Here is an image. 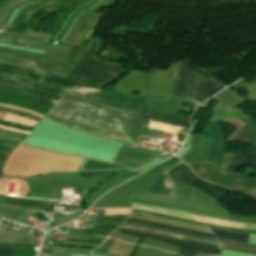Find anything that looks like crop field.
I'll return each mask as SVG.
<instances>
[{"label": "crop field", "instance_id": "obj_34", "mask_svg": "<svg viewBox=\"0 0 256 256\" xmlns=\"http://www.w3.org/2000/svg\"><path fill=\"white\" fill-rule=\"evenodd\" d=\"M36 4H38V3H36ZM36 4H30V5H28V6H26V7H24V8H22V9H20L19 11H18V13L16 14V16L14 17V19H13V21L11 22V26H13V24L16 22V20L18 19V17L20 16V14L24 11V10H26V9H28V8H30V7H32V6H34V5H36Z\"/></svg>", "mask_w": 256, "mask_h": 256}, {"label": "crop field", "instance_id": "obj_51", "mask_svg": "<svg viewBox=\"0 0 256 256\" xmlns=\"http://www.w3.org/2000/svg\"><path fill=\"white\" fill-rule=\"evenodd\" d=\"M0 201H4V199H1V198H0Z\"/></svg>", "mask_w": 256, "mask_h": 256}, {"label": "crop field", "instance_id": "obj_29", "mask_svg": "<svg viewBox=\"0 0 256 256\" xmlns=\"http://www.w3.org/2000/svg\"><path fill=\"white\" fill-rule=\"evenodd\" d=\"M132 211H133V212H141V213H146V214H151V215H156V216L171 218V219H175V220H179V221H184V222H190V223H195V224L203 225V224L197 223V222H192V221H188V220H184V219H179V218H175V217H171V216H167V215H162V214H156V213L146 212V211H142V210H134V209H132Z\"/></svg>", "mask_w": 256, "mask_h": 256}, {"label": "crop field", "instance_id": "obj_25", "mask_svg": "<svg viewBox=\"0 0 256 256\" xmlns=\"http://www.w3.org/2000/svg\"><path fill=\"white\" fill-rule=\"evenodd\" d=\"M127 220L135 221V222H141V223H147V224H153V225H158V226H162V227H167V228H171V229H176V230H181V231H185V232H190V233H195V234H200V235H206V236H210V237L216 238L215 235L201 233V232L192 231V230H187V229L178 228V227H173V226H169V225L153 223V222H148V221H142V220L129 219V218Z\"/></svg>", "mask_w": 256, "mask_h": 256}, {"label": "crop field", "instance_id": "obj_7", "mask_svg": "<svg viewBox=\"0 0 256 256\" xmlns=\"http://www.w3.org/2000/svg\"><path fill=\"white\" fill-rule=\"evenodd\" d=\"M218 121L219 120L208 121V128L204 129L206 147L205 162L213 163L221 167L223 148Z\"/></svg>", "mask_w": 256, "mask_h": 256}, {"label": "crop field", "instance_id": "obj_23", "mask_svg": "<svg viewBox=\"0 0 256 256\" xmlns=\"http://www.w3.org/2000/svg\"><path fill=\"white\" fill-rule=\"evenodd\" d=\"M4 120L31 126V127H33L37 123V121L30 120V119H27V118L21 117V116L8 114V113L6 114V117Z\"/></svg>", "mask_w": 256, "mask_h": 256}, {"label": "crop field", "instance_id": "obj_37", "mask_svg": "<svg viewBox=\"0 0 256 256\" xmlns=\"http://www.w3.org/2000/svg\"><path fill=\"white\" fill-rule=\"evenodd\" d=\"M14 114L21 115V116H25V117H29V118H32V119L37 120V121L40 120V118H37V117H35V116L28 115V114H24V113H20V112H17V111H14Z\"/></svg>", "mask_w": 256, "mask_h": 256}, {"label": "crop field", "instance_id": "obj_44", "mask_svg": "<svg viewBox=\"0 0 256 256\" xmlns=\"http://www.w3.org/2000/svg\"><path fill=\"white\" fill-rule=\"evenodd\" d=\"M196 256H218V255H211V254H205V253H199Z\"/></svg>", "mask_w": 256, "mask_h": 256}, {"label": "crop field", "instance_id": "obj_26", "mask_svg": "<svg viewBox=\"0 0 256 256\" xmlns=\"http://www.w3.org/2000/svg\"><path fill=\"white\" fill-rule=\"evenodd\" d=\"M0 81L10 82V83H16V84H22V85H26V86L31 87V88H36V89H40V90H45V91L57 93V94H60V95H62V94L64 93V92H62V91H58V90H54V89H49V88H45V87H41V86H37V85H32V84L25 83V82L10 80V79H0Z\"/></svg>", "mask_w": 256, "mask_h": 256}, {"label": "crop field", "instance_id": "obj_33", "mask_svg": "<svg viewBox=\"0 0 256 256\" xmlns=\"http://www.w3.org/2000/svg\"><path fill=\"white\" fill-rule=\"evenodd\" d=\"M114 241H115L114 239L107 238V240H106L102 250L109 252L111 247H112V245H113V243H114Z\"/></svg>", "mask_w": 256, "mask_h": 256}, {"label": "crop field", "instance_id": "obj_1", "mask_svg": "<svg viewBox=\"0 0 256 256\" xmlns=\"http://www.w3.org/2000/svg\"><path fill=\"white\" fill-rule=\"evenodd\" d=\"M0 76L67 91L62 97L63 99L191 127L189 119L178 114L182 109V102L195 103L189 99L139 97L126 94L139 97L136 99L111 89L96 93H83L98 90L77 86L68 89L14 75L0 73ZM63 99H60L51 108L46 117L85 132L136 143L146 121L145 118Z\"/></svg>", "mask_w": 256, "mask_h": 256}, {"label": "crop field", "instance_id": "obj_45", "mask_svg": "<svg viewBox=\"0 0 256 256\" xmlns=\"http://www.w3.org/2000/svg\"><path fill=\"white\" fill-rule=\"evenodd\" d=\"M0 146H4V147H7V148H11V149L14 148V146H11V145H8V144H4V143H0Z\"/></svg>", "mask_w": 256, "mask_h": 256}, {"label": "crop field", "instance_id": "obj_13", "mask_svg": "<svg viewBox=\"0 0 256 256\" xmlns=\"http://www.w3.org/2000/svg\"><path fill=\"white\" fill-rule=\"evenodd\" d=\"M121 232L123 234L141 236V237H144V238H151V239H157V240H160V241H164V242L173 244V245H175L176 247H178L180 249H187V250H193V251L205 252V253H212V254H219L220 253L219 249H215V248H211V247H207V246L186 244V243H182V242H178V241H174V240H169V239H165V238H161V237H157V236L137 234V233L127 232V231H122V230H121Z\"/></svg>", "mask_w": 256, "mask_h": 256}, {"label": "crop field", "instance_id": "obj_11", "mask_svg": "<svg viewBox=\"0 0 256 256\" xmlns=\"http://www.w3.org/2000/svg\"><path fill=\"white\" fill-rule=\"evenodd\" d=\"M0 68H1L0 72L8 73V74H14V75H20V76H24V77H28L29 74H27V73H31L29 78L41 80V81H44V82H45L46 78L48 77V74H44V73H40V72H36V71H31V70H27V69H22V68H16L15 67L14 70L21 71V72H27V73L12 71L13 67H9V66H0ZM46 82L59 84V85H62L64 87H68V88H71L72 86H74L77 83L76 81L64 79V78H61V77H58V76H53V75H49Z\"/></svg>", "mask_w": 256, "mask_h": 256}, {"label": "crop field", "instance_id": "obj_15", "mask_svg": "<svg viewBox=\"0 0 256 256\" xmlns=\"http://www.w3.org/2000/svg\"><path fill=\"white\" fill-rule=\"evenodd\" d=\"M233 140L256 144V122L249 117Z\"/></svg>", "mask_w": 256, "mask_h": 256}, {"label": "crop field", "instance_id": "obj_52", "mask_svg": "<svg viewBox=\"0 0 256 256\" xmlns=\"http://www.w3.org/2000/svg\"><path fill=\"white\" fill-rule=\"evenodd\" d=\"M0 256H9V255H0Z\"/></svg>", "mask_w": 256, "mask_h": 256}, {"label": "crop field", "instance_id": "obj_39", "mask_svg": "<svg viewBox=\"0 0 256 256\" xmlns=\"http://www.w3.org/2000/svg\"><path fill=\"white\" fill-rule=\"evenodd\" d=\"M0 128L8 129V130H13V131H17V132H22V133L29 134V132H28V131H23V130L13 129V128L5 127V126H2V125H0Z\"/></svg>", "mask_w": 256, "mask_h": 256}, {"label": "crop field", "instance_id": "obj_27", "mask_svg": "<svg viewBox=\"0 0 256 256\" xmlns=\"http://www.w3.org/2000/svg\"><path fill=\"white\" fill-rule=\"evenodd\" d=\"M0 89L10 90V91H14V92H20V93H23V94L35 96L37 98H40V99H43V100L52 101V102L56 103V100H54L52 98H49V97H46V96H43V95H39V94H35V93H29V92H26V91H22L20 89H12V88L2 87V86H0Z\"/></svg>", "mask_w": 256, "mask_h": 256}, {"label": "crop field", "instance_id": "obj_30", "mask_svg": "<svg viewBox=\"0 0 256 256\" xmlns=\"http://www.w3.org/2000/svg\"><path fill=\"white\" fill-rule=\"evenodd\" d=\"M0 106L6 107V108H12V109H17V110L25 111V112L31 113V114H33V115H35V116H38V117H40V118H42V117L44 116V115L39 114V113H37V112H34V111H32V110H28V109H24V108L12 106V105L0 104Z\"/></svg>", "mask_w": 256, "mask_h": 256}, {"label": "crop field", "instance_id": "obj_38", "mask_svg": "<svg viewBox=\"0 0 256 256\" xmlns=\"http://www.w3.org/2000/svg\"><path fill=\"white\" fill-rule=\"evenodd\" d=\"M0 137H1V138H6V139L17 140V141H20V140H21L20 138H16V137L9 136V135H5V134H0Z\"/></svg>", "mask_w": 256, "mask_h": 256}, {"label": "crop field", "instance_id": "obj_10", "mask_svg": "<svg viewBox=\"0 0 256 256\" xmlns=\"http://www.w3.org/2000/svg\"><path fill=\"white\" fill-rule=\"evenodd\" d=\"M48 39L41 37H34L28 35H11L9 33L0 32V42L21 45L36 49L45 50L46 48L56 49L67 52V46H60L55 44L47 43Z\"/></svg>", "mask_w": 256, "mask_h": 256}, {"label": "crop field", "instance_id": "obj_6", "mask_svg": "<svg viewBox=\"0 0 256 256\" xmlns=\"http://www.w3.org/2000/svg\"><path fill=\"white\" fill-rule=\"evenodd\" d=\"M119 229L137 232V233H143V234L157 235V236L174 239L182 242L192 243V244H200V245H207V246L220 248L219 242L217 241V239H214V238L186 234V233L177 232V231H173V230H169L161 227L148 226L140 223L125 221L122 227Z\"/></svg>", "mask_w": 256, "mask_h": 256}, {"label": "crop field", "instance_id": "obj_8", "mask_svg": "<svg viewBox=\"0 0 256 256\" xmlns=\"http://www.w3.org/2000/svg\"><path fill=\"white\" fill-rule=\"evenodd\" d=\"M172 172L175 173L181 179L188 182L189 184L193 185L194 187L198 188L202 192L212 196L213 198L219 201L230 191V189H226L218 185L210 184L199 179L197 176L193 174V172L186 165Z\"/></svg>", "mask_w": 256, "mask_h": 256}, {"label": "crop field", "instance_id": "obj_17", "mask_svg": "<svg viewBox=\"0 0 256 256\" xmlns=\"http://www.w3.org/2000/svg\"><path fill=\"white\" fill-rule=\"evenodd\" d=\"M0 243H34V236L0 230Z\"/></svg>", "mask_w": 256, "mask_h": 256}, {"label": "crop field", "instance_id": "obj_28", "mask_svg": "<svg viewBox=\"0 0 256 256\" xmlns=\"http://www.w3.org/2000/svg\"><path fill=\"white\" fill-rule=\"evenodd\" d=\"M92 250L83 249V248H61L60 253H81V254H90Z\"/></svg>", "mask_w": 256, "mask_h": 256}, {"label": "crop field", "instance_id": "obj_42", "mask_svg": "<svg viewBox=\"0 0 256 256\" xmlns=\"http://www.w3.org/2000/svg\"><path fill=\"white\" fill-rule=\"evenodd\" d=\"M1 85H7V86H13V87H19L22 88L23 86L20 85H14V84H9V83H4V82H0Z\"/></svg>", "mask_w": 256, "mask_h": 256}, {"label": "crop field", "instance_id": "obj_41", "mask_svg": "<svg viewBox=\"0 0 256 256\" xmlns=\"http://www.w3.org/2000/svg\"><path fill=\"white\" fill-rule=\"evenodd\" d=\"M45 4H47V3H44V4L40 5V6H38V7L34 8V9H32V10L28 13L26 19L32 14V12H33L34 10H36V9H38V8H40V7H42V6H44ZM24 19H25V18H24ZM26 19H25L24 21H26Z\"/></svg>", "mask_w": 256, "mask_h": 256}, {"label": "crop field", "instance_id": "obj_31", "mask_svg": "<svg viewBox=\"0 0 256 256\" xmlns=\"http://www.w3.org/2000/svg\"><path fill=\"white\" fill-rule=\"evenodd\" d=\"M130 210L118 209V210H105V215L121 214L128 215Z\"/></svg>", "mask_w": 256, "mask_h": 256}, {"label": "crop field", "instance_id": "obj_50", "mask_svg": "<svg viewBox=\"0 0 256 256\" xmlns=\"http://www.w3.org/2000/svg\"><path fill=\"white\" fill-rule=\"evenodd\" d=\"M249 99L256 100V95L251 97V98H249Z\"/></svg>", "mask_w": 256, "mask_h": 256}, {"label": "crop field", "instance_id": "obj_14", "mask_svg": "<svg viewBox=\"0 0 256 256\" xmlns=\"http://www.w3.org/2000/svg\"><path fill=\"white\" fill-rule=\"evenodd\" d=\"M245 164L256 168V145L244 153L240 152L236 154L231 163L228 165L227 169L235 171Z\"/></svg>", "mask_w": 256, "mask_h": 256}, {"label": "crop field", "instance_id": "obj_20", "mask_svg": "<svg viewBox=\"0 0 256 256\" xmlns=\"http://www.w3.org/2000/svg\"><path fill=\"white\" fill-rule=\"evenodd\" d=\"M84 51H85V50L81 48V50H80L79 53L77 54L75 60H74L68 67L63 66V65H60V64L52 63V62H49V61L44 60V59H39V58L21 57V56H19V55L8 54V53H3V52H0V55L13 56V57L23 58V59H29V60H33V61H38V62L46 63V64H49V65H52V66H57V67H62V68H66V69L72 70L73 67L76 65V63L78 62V60L82 57Z\"/></svg>", "mask_w": 256, "mask_h": 256}, {"label": "crop field", "instance_id": "obj_9", "mask_svg": "<svg viewBox=\"0 0 256 256\" xmlns=\"http://www.w3.org/2000/svg\"><path fill=\"white\" fill-rule=\"evenodd\" d=\"M131 208L147 209V210L162 212V213H166V214H170V215H174V216H178V217H182V218H186V219L198 220L201 222L223 225V226L232 227V228H243V229L256 230L255 224L241 223V222H230V221L206 218V217L197 216V215H193V214H189V213H183V212L167 210V209L151 207V206H145V205H140V204H134V203H132Z\"/></svg>", "mask_w": 256, "mask_h": 256}, {"label": "crop field", "instance_id": "obj_21", "mask_svg": "<svg viewBox=\"0 0 256 256\" xmlns=\"http://www.w3.org/2000/svg\"><path fill=\"white\" fill-rule=\"evenodd\" d=\"M132 202H139V203H143V204H149V205H155V206H160V207L176 209V210H181V211H185V212H189V213H194V214H198V215H203V216H207V217H212V218H218V219H224V220H230V221H241V222H245L246 221V220H242V219H234V218L216 216V215H211V214H206V213H201V212H196V211H191V210H185V209L173 208V207H168V206H163V205H157V204L147 203V202H143V201H139V200H133L132 199ZM247 222L255 223L256 224V222L250 221V220H248Z\"/></svg>", "mask_w": 256, "mask_h": 256}, {"label": "crop field", "instance_id": "obj_5", "mask_svg": "<svg viewBox=\"0 0 256 256\" xmlns=\"http://www.w3.org/2000/svg\"><path fill=\"white\" fill-rule=\"evenodd\" d=\"M195 174L201 178L226 186L237 192L256 196V179L244 177L233 171L215 167L208 163L189 165Z\"/></svg>", "mask_w": 256, "mask_h": 256}, {"label": "crop field", "instance_id": "obj_47", "mask_svg": "<svg viewBox=\"0 0 256 256\" xmlns=\"http://www.w3.org/2000/svg\"><path fill=\"white\" fill-rule=\"evenodd\" d=\"M117 235H118V232H115V231H114L112 234L109 235V237H114V238H116Z\"/></svg>", "mask_w": 256, "mask_h": 256}, {"label": "crop field", "instance_id": "obj_19", "mask_svg": "<svg viewBox=\"0 0 256 256\" xmlns=\"http://www.w3.org/2000/svg\"><path fill=\"white\" fill-rule=\"evenodd\" d=\"M211 230L214 232L217 238H224V239H230V240H236L241 242H246L248 240L249 234H243V233H235L220 229L211 228Z\"/></svg>", "mask_w": 256, "mask_h": 256}, {"label": "crop field", "instance_id": "obj_32", "mask_svg": "<svg viewBox=\"0 0 256 256\" xmlns=\"http://www.w3.org/2000/svg\"><path fill=\"white\" fill-rule=\"evenodd\" d=\"M206 225L212 226V227H216V228L227 229V230H231V231H241V232H248V233L256 234V231H249V230H243V229H231V228L222 227V226H216V225H211V224H206Z\"/></svg>", "mask_w": 256, "mask_h": 256}, {"label": "crop field", "instance_id": "obj_49", "mask_svg": "<svg viewBox=\"0 0 256 256\" xmlns=\"http://www.w3.org/2000/svg\"><path fill=\"white\" fill-rule=\"evenodd\" d=\"M6 27V25H1L0 24V29L2 30V29H4Z\"/></svg>", "mask_w": 256, "mask_h": 256}, {"label": "crop field", "instance_id": "obj_24", "mask_svg": "<svg viewBox=\"0 0 256 256\" xmlns=\"http://www.w3.org/2000/svg\"><path fill=\"white\" fill-rule=\"evenodd\" d=\"M180 159L177 158L176 156L162 162L161 164H159L158 166L144 172V173H149V172H161L166 170L167 168H169L171 165H173L174 163H176L177 161H179Z\"/></svg>", "mask_w": 256, "mask_h": 256}, {"label": "crop field", "instance_id": "obj_4", "mask_svg": "<svg viewBox=\"0 0 256 256\" xmlns=\"http://www.w3.org/2000/svg\"><path fill=\"white\" fill-rule=\"evenodd\" d=\"M208 78L209 77L192 71L188 67V60L177 63L171 97L191 98L201 104L202 88L205 86ZM223 88V84L209 78V81L204 88L203 103L201 105H204L210 97L221 91Z\"/></svg>", "mask_w": 256, "mask_h": 256}, {"label": "crop field", "instance_id": "obj_2", "mask_svg": "<svg viewBox=\"0 0 256 256\" xmlns=\"http://www.w3.org/2000/svg\"><path fill=\"white\" fill-rule=\"evenodd\" d=\"M0 64L17 66L27 69L43 71L59 76H66L70 71L52 67L46 64L30 62L21 59L0 56ZM121 64L114 63L99 57L97 54L85 51L80 62L68 75V79L79 81L76 85L103 89L112 81L119 78L127 70L121 69Z\"/></svg>", "mask_w": 256, "mask_h": 256}, {"label": "crop field", "instance_id": "obj_22", "mask_svg": "<svg viewBox=\"0 0 256 256\" xmlns=\"http://www.w3.org/2000/svg\"><path fill=\"white\" fill-rule=\"evenodd\" d=\"M5 204L26 206V207H35V208H44V209H48L49 205H50V204H46V203L27 202V201L9 200V199H5Z\"/></svg>", "mask_w": 256, "mask_h": 256}, {"label": "crop field", "instance_id": "obj_16", "mask_svg": "<svg viewBox=\"0 0 256 256\" xmlns=\"http://www.w3.org/2000/svg\"><path fill=\"white\" fill-rule=\"evenodd\" d=\"M148 192L177 198L174 183H167L162 174H160L159 178L149 188Z\"/></svg>", "mask_w": 256, "mask_h": 256}, {"label": "crop field", "instance_id": "obj_48", "mask_svg": "<svg viewBox=\"0 0 256 256\" xmlns=\"http://www.w3.org/2000/svg\"><path fill=\"white\" fill-rule=\"evenodd\" d=\"M101 16H103V14H102ZM101 16H100V17H101ZM99 19H100V18H99ZM99 19H98V20H99ZM98 20H97V21H98ZM97 21L93 24V26H92V28H91V30H90V32L88 33V35H87V37H86V38H88V36L90 35V33H91V31H92L93 27L96 25Z\"/></svg>", "mask_w": 256, "mask_h": 256}, {"label": "crop field", "instance_id": "obj_3", "mask_svg": "<svg viewBox=\"0 0 256 256\" xmlns=\"http://www.w3.org/2000/svg\"><path fill=\"white\" fill-rule=\"evenodd\" d=\"M82 160V157L19 143L1 174L38 176L49 172L77 171Z\"/></svg>", "mask_w": 256, "mask_h": 256}, {"label": "crop field", "instance_id": "obj_40", "mask_svg": "<svg viewBox=\"0 0 256 256\" xmlns=\"http://www.w3.org/2000/svg\"><path fill=\"white\" fill-rule=\"evenodd\" d=\"M0 123L6 124V125H10V126H14V127H18V128L28 129V130H30V129H31V128H29V127H24V126L14 125V124H10V123H6V122H2V121H0Z\"/></svg>", "mask_w": 256, "mask_h": 256}, {"label": "crop field", "instance_id": "obj_35", "mask_svg": "<svg viewBox=\"0 0 256 256\" xmlns=\"http://www.w3.org/2000/svg\"><path fill=\"white\" fill-rule=\"evenodd\" d=\"M8 153L0 152V173L3 169V165L8 157Z\"/></svg>", "mask_w": 256, "mask_h": 256}, {"label": "crop field", "instance_id": "obj_36", "mask_svg": "<svg viewBox=\"0 0 256 256\" xmlns=\"http://www.w3.org/2000/svg\"><path fill=\"white\" fill-rule=\"evenodd\" d=\"M0 254H13V248H0Z\"/></svg>", "mask_w": 256, "mask_h": 256}, {"label": "crop field", "instance_id": "obj_43", "mask_svg": "<svg viewBox=\"0 0 256 256\" xmlns=\"http://www.w3.org/2000/svg\"><path fill=\"white\" fill-rule=\"evenodd\" d=\"M0 141H2V142H7V143H11V144H15V145H17V142H13V141H9V140H5V139H1V138H0Z\"/></svg>", "mask_w": 256, "mask_h": 256}, {"label": "crop field", "instance_id": "obj_46", "mask_svg": "<svg viewBox=\"0 0 256 256\" xmlns=\"http://www.w3.org/2000/svg\"><path fill=\"white\" fill-rule=\"evenodd\" d=\"M0 151H4V152L10 153L11 149H7V148H4V147H0Z\"/></svg>", "mask_w": 256, "mask_h": 256}, {"label": "crop field", "instance_id": "obj_18", "mask_svg": "<svg viewBox=\"0 0 256 256\" xmlns=\"http://www.w3.org/2000/svg\"><path fill=\"white\" fill-rule=\"evenodd\" d=\"M222 249L256 255V245L219 239Z\"/></svg>", "mask_w": 256, "mask_h": 256}, {"label": "crop field", "instance_id": "obj_12", "mask_svg": "<svg viewBox=\"0 0 256 256\" xmlns=\"http://www.w3.org/2000/svg\"><path fill=\"white\" fill-rule=\"evenodd\" d=\"M216 101L219 102V105L221 108L226 110L228 113H232L237 107L242 105L245 100H243L241 97H239L237 94L232 92L230 89H225L220 94H218L216 97H214Z\"/></svg>", "mask_w": 256, "mask_h": 256}]
</instances>
